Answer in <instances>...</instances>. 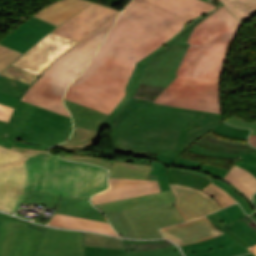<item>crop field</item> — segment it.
<instances>
[{
  "instance_id": "obj_54",
  "label": "crop field",
  "mask_w": 256,
  "mask_h": 256,
  "mask_svg": "<svg viewBox=\"0 0 256 256\" xmlns=\"http://www.w3.org/2000/svg\"><path fill=\"white\" fill-rule=\"evenodd\" d=\"M215 214L218 216V218L221 220V222L223 224L231 223V220L229 219V217L225 213L224 209L215 212Z\"/></svg>"
},
{
  "instance_id": "obj_26",
  "label": "crop field",
  "mask_w": 256,
  "mask_h": 256,
  "mask_svg": "<svg viewBox=\"0 0 256 256\" xmlns=\"http://www.w3.org/2000/svg\"><path fill=\"white\" fill-rule=\"evenodd\" d=\"M57 212L107 222L103 214L94 208L87 199L63 197Z\"/></svg>"
},
{
  "instance_id": "obj_31",
  "label": "crop field",
  "mask_w": 256,
  "mask_h": 256,
  "mask_svg": "<svg viewBox=\"0 0 256 256\" xmlns=\"http://www.w3.org/2000/svg\"><path fill=\"white\" fill-rule=\"evenodd\" d=\"M173 249H178V247L173 245V246L163 248V249L141 251V252H131V253H125L124 250H120V249L85 247V256H140V255L153 254V253L167 251V250H173ZM180 256H182V255H180Z\"/></svg>"
},
{
  "instance_id": "obj_4",
  "label": "crop field",
  "mask_w": 256,
  "mask_h": 256,
  "mask_svg": "<svg viewBox=\"0 0 256 256\" xmlns=\"http://www.w3.org/2000/svg\"><path fill=\"white\" fill-rule=\"evenodd\" d=\"M222 121L218 113L132 98L110 131L114 146L179 158L194 140Z\"/></svg>"
},
{
  "instance_id": "obj_2",
  "label": "crop field",
  "mask_w": 256,
  "mask_h": 256,
  "mask_svg": "<svg viewBox=\"0 0 256 256\" xmlns=\"http://www.w3.org/2000/svg\"><path fill=\"white\" fill-rule=\"evenodd\" d=\"M239 25L224 6L196 25L177 78L154 102L221 113L219 78Z\"/></svg>"
},
{
  "instance_id": "obj_32",
  "label": "crop field",
  "mask_w": 256,
  "mask_h": 256,
  "mask_svg": "<svg viewBox=\"0 0 256 256\" xmlns=\"http://www.w3.org/2000/svg\"><path fill=\"white\" fill-rule=\"evenodd\" d=\"M174 167L200 170V171L206 172L208 175H210L212 177H215V178H218L220 180L228 172V170H224V169L217 168V167L207 165V164H203V163L189 161V160H186V159L181 158V157L177 160Z\"/></svg>"
},
{
  "instance_id": "obj_3",
  "label": "crop field",
  "mask_w": 256,
  "mask_h": 256,
  "mask_svg": "<svg viewBox=\"0 0 256 256\" xmlns=\"http://www.w3.org/2000/svg\"><path fill=\"white\" fill-rule=\"evenodd\" d=\"M107 175L108 170L97 166L0 146V210L14 213L29 188L89 199L108 187Z\"/></svg>"
},
{
  "instance_id": "obj_30",
  "label": "crop field",
  "mask_w": 256,
  "mask_h": 256,
  "mask_svg": "<svg viewBox=\"0 0 256 256\" xmlns=\"http://www.w3.org/2000/svg\"><path fill=\"white\" fill-rule=\"evenodd\" d=\"M241 22L256 13V0H221Z\"/></svg>"
},
{
  "instance_id": "obj_28",
  "label": "crop field",
  "mask_w": 256,
  "mask_h": 256,
  "mask_svg": "<svg viewBox=\"0 0 256 256\" xmlns=\"http://www.w3.org/2000/svg\"><path fill=\"white\" fill-rule=\"evenodd\" d=\"M235 243L237 242L228 237L227 235L223 234L207 241L184 245L180 247L182 248L185 255H188L192 253H200L209 250H217L228 245H233Z\"/></svg>"
},
{
  "instance_id": "obj_47",
  "label": "crop field",
  "mask_w": 256,
  "mask_h": 256,
  "mask_svg": "<svg viewBox=\"0 0 256 256\" xmlns=\"http://www.w3.org/2000/svg\"><path fill=\"white\" fill-rule=\"evenodd\" d=\"M202 137L210 142L217 143L220 145H228V146H232V147H252L249 145V143L231 142V141L215 138L214 136H212L208 133Z\"/></svg>"
},
{
  "instance_id": "obj_33",
  "label": "crop field",
  "mask_w": 256,
  "mask_h": 256,
  "mask_svg": "<svg viewBox=\"0 0 256 256\" xmlns=\"http://www.w3.org/2000/svg\"><path fill=\"white\" fill-rule=\"evenodd\" d=\"M61 199V196L42 193L30 189L23 203L32 205V203L35 202L40 205H45L54 209H58Z\"/></svg>"
},
{
  "instance_id": "obj_55",
  "label": "crop field",
  "mask_w": 256,
  "mask_h": 256,
  "mask_svg": "<svg viewBox=\"0 0 256 256\" xmlns=\"http://www.w3.org/2000/svg\"><path fill=\"white\" fill-rule=\"evenodd\" d=\"M165 240H158V241H137V240H123L124 243H154V242H162Z\"/></svg>"
},
{
  "instance_id": "obj_21",
  "label": "crop field",
  "mask_w": 256,
  "mask_h": 256,
  "mask_svg": "<svg viewBox=\"0 0 256 256\" xmlns=\"http://www.w3.org/2000/svg\"><path fill=\"white\" fill-rule=\"evenodd\" d=\"M84 236L85 246L120 248L125 249L126 252L163 248L172 245V243L170 242H162L155 244H123L121 239H115L109 236L89 232H84Z\"/></svg>"
},
{
  "instance_id": "obj_41",
  "label": "crop field",
  "mask_w": 256,
  "mask_h": 256,
  "mask_svg": "<svg viewBox=\"0 0 256 256\" xmlns=\"http://www.w3.org/2000/svg\"><path fill=\"white\" fill-rule=\"evenodd\" d=\"M246 252H249V251H247L242 245L238 243L236 245L229 246L217 251H210V252L201 253V254H192L188 256H236V255L244 254Z\"/></svg>"
},
{
  "instance_id": "obj_44",
  "label": "crop field",
  "mask_w": 256,
  "mask_h": 256,
  "mask_svg": "<svg viewBox=\"0 0 256 256\" xmlns=\"http://www.w3.org/2000/svg\"><path fill=\"white\" fill-rule=\"evenodd\" d=\"M22 52L0 45V72L9 66Z\"/></svg>"
},
{
  "instance_id": "obj_56",
  "label": "crop field",
  "mask_w": 256,
  "mask_h": 256,
  "mask_svg": "<svg viewBox=\"0 0 256 256\" xmlns=\"http://www.w3.org/2000/svg\"><path fill=\"white\" fill-rule=\"evenodd\" d=\"M249 142H250V144L256 146V135L255 136H249Z\"/></svg>"
},
{
  "instance_id": "obj_10",
  "label": "crop field",
  "mask_w": 256,
  "mask_h": 256,
  "mask_svg": "<svg viewBox=\"0 0 256 256\" xmlns=\"http://www.w3.org/2000/svg\"><path fill=\"white\" fill-rule=\"evenodd\" d=\"M76 43L78 42L51 32L29 49L13 65L41 75L55 59Z\"/></svg>"
},
{
  "instance_id": "obj_38",
  "label": "crop field",
  "mask_w": 256,
  "mask_h": 256,
  "mask_svg": "<svg viewBox=\"0 0 256 256\" xmlns=\"http://www.w3.org/2000/svg\"><path fill=\"white\" fill-rule=\"evenodd\" d=\"M181 170H186V171H192V172H196V173H200L203 174L207 177H209L206 173L200 172V171H195V170H188V169H181ZM212 179V181L219 185L220 187H222L224 190H226L230 195H232L237 202L241 205V207L244 209V211L248 214H251L253 212H255L252 207L250 206V204L247 202L246 199H244L243 197L239 196L227 183L223 182V181H219L215 178L209 177Z\"/></svg>"
},
{
  "instance_id": "obj_8",
  "label": "crop field",
  "mask_w": 256,
  "mask_h": 256,
  "mask_svg": "<svg viewBox=\"0 0 256 256\" xmlns=\"http://www.w3.org/2000/svg\"><path fill=\"white\" fill-rule=\"evenodd\" d=\"M46 228L13 217L0 228V256H34Z\"/></svg>"
},
{
  "instance_id": "obj_19",
  "label": "crop field",
  "mask_w": 256,
  "mask_h": 256,
  "mask_svg": "<svg viewBox=\"0 0 256 256\" xmlns=\"http://www.w3.org/2000/svg\"><path fill=\"white\" fill-rule=\"evenodd\" d=\"M61 158H66L74 161H87L96 165L111 169L109 177L111 178H137L146 179L152 167L146 165L129 164L118 161H110L106 159L87 157V156H64L59 155Z\"/></svg>"
},
{
  "instance_id": "obj_22",
  "label": "crop field",
  "mask_w": 256,
  "mask_h": 256,
  "mask_svg": "<svg viewBox=\"0 0 256 256\" xmlns=\"http://www.w3.org/2000/svg\"><path fill=\"white\" fill-rule=\"evenodd\" d=\"M48 225L63 227V228H74L82 230H92L109 235L117 236L114 230L110 227L109 223L98 222L88 219L77 218L69 215L55 213Z\"/></svg>"
},
{
  "instance_id": "obj_15",
  "label": "crop field",
  "mask_w": 256,
  "mask_h": 256,
  "mask_svg": "<svg viewBox=\"0 0 256 256\" xmlns=\"http://www.w3.org/2000/svg\"><path fill=\"white\" fill-rule=\"evenodd\" d=\"M108 190L91 198L93 205L123 198L160 192L158 182L137 179H111Z\"/></svg>"
},
{
  "instance_id": "obj_23",
  "label": "crop field",
  "mask_w": 256,
  "mask_h": 256,
  "mask_svg": "<svg viewBox=\"0 0 256 256\" xmlns=\"http://www.w3.org/2000/svg\"><path fill=\"white\" fill-rule=\"evenodd\" d=\"M238 194L245 197L256 211L251 202V196L256 192V178L246 170L233 166L228 174L223 178Z\"/></svg>"
},
{
  "instance_id": "obj_18",
  "label": "crop field",
  "mask_w": 256,
  "mask_h": 256,
  "mask_svg": "<svg viewBox=\"0 0 256 256\" xmlns=\"http://www.w3.org/2000/svg\"><path fill=\"white\" fill-rule=\"evenodd\" d=\"M53 28L55 26L43 20L32 18L1 40L0 44L24 52Z\"/></svg>"
},
{
  "instance_id": "obj_49",
  "label": "crop field",
  "mask_w": 256,
  "mask_h": 256,
  "mask_svg": "<svg viewBox=\"0 0 256 256\" xmlns=\"http://www.w3.org/2000/svg\"><path fill=\"white\" fill-rule=\"evenodd\" d=\"M226 122L232 124V125H236V126H240V127H248V128H252V133L251 135H255L256 134V122H247L241 119H238L236 117H231L228 120H226Z\"/></svg>"
},
{
  "instance_id": "obj_51",
  "label": "crop field",
  "mask_w": 256,
  "mask_h": 256,
  "mask_svg": "<svg viewBox=\"0 0 256 256\" xmlns=\"http://www.w3.org/2000/svg\"><path fill=\"white\" fill-rule=\"evenodd\" d=\"M61 151L70 152L71 155H87V156H96L103 158L104 154L90 152L89 149H61Z\"/></svg>"
},
{
  "instance_id": "obj_11",
  "label": "crop field",
  "mask_w": 256,
  "mask_h": 256,
  "mask_svg": "<svg viewBox=\"0 0 256 256\" xmlns=\"http://www.w3.org/2000/svg\"><path fill=\"white\" fill-rule=\"evenodd\" d=\"M116 12V10L93 3L52 32L79 41L87 34L101 27Z\"/></svg>"
},
{
  "instance_id": "obj_46",
  "label": "crop field",
  "mask_w": 256,
  "mask_h": 256,
  "mask_svg": "<svg viewBox=\"0 0 256 256\" xmlns=\"http://www.w3.org/2000/svg\"><path fill=\"white\" fill-rule=\"evenodd\" d=\"M210 221L218 228H220L222 231H224L226 234H228L229 236H231L232 238H234L235 240H237L238 242H240L241 244H243L244 246H249L248 244H246L238 235H236L234 232H232L231 230L225 228L223 226V224L220 222V220L217 218V216L212 213L210 215L207 216Z\"/></svg>"
},
{
  "instance_id": "obj_45",
  "label": "crop field",
  "mask_w": 256,
  "mask_h": 256,
  "mask_svg": "<svg viewBox=\"0 0 256 256\" xmlns=\"http://www.w3.org/2000/svg\"><path fill=\"white\" fill-rule=\"evenodd\" d=\"M10 149L30 154H48L47 147L32 146L20 141H17Z\"/></svg>"
},
{
  "instance_id": "obj_61",
  "label": "crop field",
  "mask_w": 256,
  "mask_h": 256,
  "mask_svg": "<svg viewBox=\"0 0 256 256\" xmlns=\"http://www.w3.org/2000/svg\"><path fill=\"white\" fill-rule=\"evenodd\" d=\"M244 256H254L252 253H249L247 255H244Z\"/></svg>"
},
{
  "instance_id": "obj_27",
  "label": "crop field",
  "mask_w": 256,
  "mask_h": 256,
  "mask_svg": "<svg viewBox=\"0 0 256 256\" xmlns=\"http://www.w3.org/2000/svg\"><path fill=\"white\" fill-rule=\"evenodd\" d=\"M100 132L92 129L81 128L74 126V131L70 139L57 146L49 149L54 150L57 148H89L98 143Z\"/></svg>"
},
{
  "instance_id": "obj_12",
  "label": "crop field",
  "mask_w": 256,
  "mask_h": 256,
  "mask_svg": "<svg viewBox=\"0 0 256 256\" xmlns=\"http://www.w3.org/2000/svg\"><path fill=\"white\" fill-rule=\"evenodd\" d=\"M35 256H84L82 232L47 229Z\"/></svg>"
},
{
  "instance_id": "obj_59",
  "label": "crop field",
  "mask_w": 256,
  "mask_h": 256,
  "mask_svg": "<svg viewBox=\"0 0 256 256\" xmlns=\"http://www.w3.org/2000/svg\"><path fill=\"white\" fill-rule=\"evenodd\" d=\"M253 202H254L255 205H256V193H255L254 196H253ZM251 217H252L254 220H256V213H253V214L251 215Z\"/></svg>"
},
{
  "instance_id": "obj_40",
  "label": "crop field",
  "mask_w": 256,
  "mask_h": 256,
  "mask_svg": "<svg viewBox=\"0 0 256 256\" xmlns=\"http://www.w3.org/2000/svg\"><path fill=\"white\" fill-rule=\"evenodd\" d=\"M202 191L206 192L213 199H215L222 208L236 203V201L232 199L227 193L212 183L205 187Z\"/></svg>"
},
{
  "instance_id": "obj_43",
  "label": "crop field",
  "mask_w": 256,
  "mask_h": 256,
  "mask_svg": "<svg viewBox=\"0 0 256 256\" xmlns=\"http://www.w3.org/2000/svg\"><path fill=\"white\" fill-rule=\"evenodd\" d=\"M164 89V87L142 83L134 97L154 101Z\"/></svg>"
},
{
  "instance_id": "obj_29",
  "label": "crop field",
  "mask_w": 256,
  "mask_h": 256,
  "mask_svg": "<svg viewBox=\"0 0 256 256\" xmlns=\"http://www.w3.org/2000/svg\"><path fill=\"white\" fill-rule=\"evenodd\" d=\"M170 184L188 185L198 189H203L211 181L201 175L188 173L180 170H170L168 173Z\"/></svg>"
},
{
  "instance_id": "obj_24",
  "label": "crop field",
  "mask_w": 256,
  "mask_h": 256,
  "mask_svg": "<svg viewBox=\"0 0 256 256\" xmlns=\"http://www.w3.org/2000/svg\"><path fill=\"white\" fill-rule=\"evenodd\" d=\"M157 202H175L174 194L171 190L163 191L157 194L145 195L140 197H134L129 199L118 200L105 204L96 205V207L102 212L106 213L113 210L149 204Z\"/></svg>"
},
{
  "instance_id": "obj_1",
  "label": "crop field",
  "mask_w": 256,
  "mask_h": 256,
  "mask_svg": "<svg viewBox=\"0 0 256 256\" xmlns=\"http://www.w3.org/2000/svg\"><path fill=\"white\" fill-rule=\"evenodd\" d=\"M215 7L202 0H133L65 99L110 114L125 95L136 62Z\"/></svg>"
},
{
  "instance_id": "obj_16",
  "label": "crop field",
  "mask_w": 256,
  "mask_h": 256,
  "mask_svg": "<svg viewBox=\"0 0 256 256\" xmlns=\"http://www.w3.org/2000/svg\"><path fill=\"white\" fill-rule=\"evenodd\" d=\"M160 230L164 238H168L179 245L199 242L223 234L206 217Z\"/></svg>"
},
{
  "instance_id": "obj_13",
  "label": "crop field",
  "mask_w": 256,
  "mask_h": 256,
  "mask_svg": "<svg viewBox=\"0 0 256 256\" xmlns=\"http://www.w3.org/2000/svg\"><path fill=\"white\" fill-rule=\"evenodd\" d=\"M170 186L176 196V207L185 221L221 209L216 201L198 189L180 185Z\"/></svg>"
},
{
  "instance_id": "obj_5",
  "label": "crop field",
  "mask_w": 256,
  "mask_h": 256,
  "mask_svg": "<svg viewBox=\"0 0 256 256\" xmlns=\"http://www.w3.org/2000/svg\"><path fill=\"white\" fill-rule=\"evenodd\" d=\"M119 14L120 11L101 28L83 38L77 45L55 60L30 86L21 100L71 117L62 102L64 90L86 67Z\"/></svg>"
},
{
  "instance_id": "obj_42",
  "label": "crop field",
  "mask_w": 256,
  "mask_h": 256,
  "mask_svg": "<svg viewBox=\"0 0 256 256\" xmlns=\"http://www.w3.org/2000/svg\"><path fill=\"white\" fill-rule=\"evenodd\" d=\"M151 166H154L150 174L157 175L160 190H169L170 186L168 184L167 172L171 169L157 161L154 160Z\"/></svg>"
},
{
  "instance_id": "obj_48",
  "label": "crop field",
  "mask_w": 256,
  "mask_h": 256,
  "mask_svg": "<svg viewBox=\"0 0 256 256\" xmlns=\"http://www.w3.org/2000/svg\"><path fill=\"white\" fill-rule=\"evenodd\" d=\"M226 213L232 220V222L238 220L239 218H242L246 216L244 212L241 210L238 204L231 205L227 208H225Z\"/></svg>"
},
{
  "instance_id": "obj_50",
  "label": "crop field",
  "mask_w": 256,
  "mask_h": 256,
  "mask_svg": "<svg viewBox=\"0 0 256 256\" xmlns=\"http://www.w3.org/2000/svg\"><path fill=\"white\" fill-rule=\"evenodd\" d=\"M19 101L20 98L18 97L0 92V103L2 104L15 108Z\"/></svg>"
},
{
  "instance_id": "obj_20",
  "label": "crop field",
  "mask_w": 256,
  "mask_h": 256,
  "mask_svg": "<svg viewBox=\"0 0 256 256\" xmlns=\"http://www.w3.org/2000/svg\"><path fill=\"white\" fill-rule=\"evenodd\" d=\"M89 3L85 0H58L39 11L34 17L59 25Z\"/></svg>"
},
{
  "instance_id": "obj_9",
  "label": "crop field",
  "mask_w": 256,
  "mask_h": 256,
  "mask_svg": "<svg viewBox=\"0 0 256 256\" xmlns=\"http://www.w3.org/2000/svg\"><path fill=\"white\" fill-rule=\"evenodd\" d=\"M211 4H214L218 6L217 8L213 9L210 12H207L195 19H193L191 22H189L185 28L180 31L178 34H176L172 39H170L167 43H165L163 46H161L159 49L145 57L144 59L137 62L136 67L133 71V74L127 84L126 87V95L122 98L120 103L117 105V107L113 110V112L110 114V116L106 119V121L103 123V125H106L108 127L111 126L114 119L118 116V114L124 109V107L127 105V103L130 101V99L134 96L137 89L139 88L142 78L144 76L145 70L149 63L162 51L170 48L172 45L175 46H181V47H188V44H186L194 26L201 22L203 19L208 17L210 14H212L214 11L219 9L223 4L219 2L218 0H204Z\"/></svg>"
},
{
  "instance_id": "obj_35",
  "label": "crop field",
  "mask_w": 256,
  "mask_h": 256,
  "mask_svg": "<svg viewBox=\"0 0 256 256\" xmlns=\"http://www.w3.org/2000/svg\"><path fill=\"white\" fill-rule=\"evenodd\" d=\"M225 227L237 233L249 245L256 243V231L241 219Z\"/></svg>"
},
{
  "instance_id": "obj_39",
  "label": "crop field",
  "mask_w": 256,
  "mask_h": 256,
  "mask_svg": "<svg viewBox=\"0 0 256 256\" xmlns=\"http://www.w3.org/2000/svg\"><path fill=\"white\" fill-rule=\"evenodd\" d=\"M212 130L220 135H224L230 138H240V139H247L248 134L250 133V129L236 128L234 126H229L224 122Z\"/></svg>"
},
{
  "instance_id": "obj_58",
  "label": "crop field",
  "mask_w": 256,
  "mask_h": 256,
  "mask_svg": "<svg viewBox=\"0 0 256 256\" xmlns=\"http://www.w3.org/2000/svg\"><path fill=\"white\" fill-rule=\"evenodd\" d=\"M248 249L254 254L256 255V244L255 245H252L250 247H248Z\"/></svg>"
},
{
  "instance_id": "obj_34",
  "label": "crop field",
  "mask_w": 256,
  "mask_h": 256,
  "mask_svg": "<svg viewBox=\"0 0 256 256\" xmlns=\"http://www.w3.org/2000/svg\"><path fill=\"white\" fill-rule=\"evenodd\" d=\"M106 216L121 237L134 238L133 231L121 210L106 213Z\"/></svg>"
},
{
  "instance_id": "obj_6",
  "label": "crop field",
  "mask_w": 256,
  "mask_h": 256,
  "mask_svg": "<svg viewBox=\"0 0 256 256\" xmlns=\"http://www.w3.org/2000/svg\"><path fill=\"white\" fill-rule=\"evenodd\" d=\"M71 130V118L20 101L9 123L0 121V145L10 148L21 140L50 147L65 141Z\"/></svg>"
},
{
  "instance_id": "obj_17",
  "label": "crop field",
  "mask_w": 256,
  "mask_h": 256,
  "mask_svg": "<svg viewBox=\"0 0 256 256\" xmlns=\"http://www.w3.org/2000/svg\"><path fill=\"white\" fill-rule=\"evenodd\" d=\"M186 150L209 156L235 158L237 159L235 165L241 166L256 177V148L220 146L200 137Z\"/></svg>"
},
{
  "instance_id": "obj_36",
  "label": "crop field",
  "mask_w": 256,
  "mask_h": 256,
  "mask_svg": "<svg viewBox=\"0 0 256 256\" xmlns=\"http://www.w3.org/2000/svg\"><path fill=\"white\" fill-rule=\"evenodd\" d=\"M29 85L0 75V91L22 98Z\"/></svg>"
},
{
  "instance_id": "obj_25",
  "label": "crop field",
  "mask_w": 256,
  "mask_h": 256,
  "mask_svg": "<svg viewBox=\"0 0 256 256\" xmlns=\"http://www.w3.org/2000/svg\"><path fill=\"white\" fill-rule=\"evenodd\" d=\"M65 104L73 115L74 125L92 128L98 131L103 130L104 126L101 124L108 117V114L80 106L67 100H65Z\"/></svg>"
},
{
  "instance_id": "obj_53",
  "label": "crop field",
  "mask_w": 256,
  "mask_h": 256,
  "mask_svg": "<svg viewBox=\"0 0 256 256\" xmlns=\"http://www.w3.org/2000/svg\"><path fill=\"white\" fill-rule=\"evenodd\" d=\"M177 158L175 157H169V156H163V155H157L156 160H158L159 162L169 166L172 168V165L174 164V162L176 161Z\"/></svg>"
},
{
  "instance_id": "obj_37",
  "label": "crop field",
  "mask_w": 256,
  "mask_h": 256,
  "mask_svg": "<svg viewBox=\"0 0 256 256\" xmlns=\"http://www.w3.org/2000/svg\"><path fill=\"white\" fill-rule=\"evenodd\" d=\"M1 75L19 80L21 82L27 83L31 85L38 77L39 75L31 73L26 70L19 69L14 66H10L8 69H6Z\"/></svg>"
},
{
  "instance_id": "obj_7",
  "label": "crop field",
  "mask_w": 256,
  "mask_h": 256,
  "mask_svg": "<svg viewBox=\"0 0 256 256\" xmlns=\"http://www.w3.org/2000/svg\"><path fill=\"white\" fill-rule=\"evenodd\" d=\"M135 238L149 239L162 237L158 228L183 222L184 219L175 203H157L123 209Z\"/></svg>"
},
{
  "instance_id": "obj_60",
  "label": "crop field",
  "mask_w": 256,
  "mask_h": 256,
  "mask_svg": "<svg viewBox=\"0 0 256 256\" xmlns=\"http://www.w3.org/2000/svg\"><path fill=\"white\" fill-rule=\"evenodd\" d=\"M147 179L157 180L156 176L148 175Z\"/></svg>"
},
{
  "instance_id": "obj_14",
  "label": "crop field",
  "mask_w": 256,
  "mask_h": 256,
  "mask_svg": "<svg viewBox=\"0 0 256 256\" xmlns=\"http://www.w3.org/2000/svg\"><path fill=\"white\" fill-rule=\"evenodd\" d=\"M187 49L172 46L159 54L148 66L142 82L167 87L175 78V73Z\"/></svg>"
},
{
  "instance_id": "obj_52",
  "label": "crop field",
  "mask_w": 256,
  "mask_h": 256,
  "mask_svg": "<svg viewBox=\"0 0 256 256\" xmlns=\"http://www.w3.org/2000/svg\"><path fill=\"white\" fill-rule=\"evenodd\" d=\"M13 108L0 104V120L9 121Z\"/></svg>"
},
{
  "instance_id": "obj_57",
  "label": "crop field",
  "mask_w": 256,
  "mask_h": 256,
  "mask_svg": "<svg viewBox=\"0 0 256 256\" xmlns=\"http://www.w3.org/2000/svg\"><path fill=\"white\" fill-rule=\"evenodd\" d=\"M11 218H12V216L6 215L4 213H0V224H1L2 219H11Z\"/></svg>"
}]
</instances>
